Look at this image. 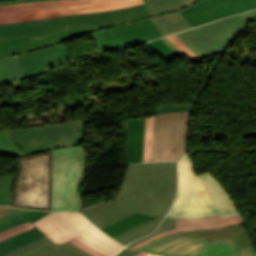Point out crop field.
Segmentation results:
<instances>
[{"label":"crop field","instance_id":"4","mask_svg":"<svg viewBox=\"0 0 256 256\" xmlns=\"http://www.w3.org/2000/svg\"><path fill=\"white\" fill-rule=\"evenodd\" d=\"M137 250L168 256H256L253 247L239 251L225 226L175 232Z\"/></svg>","mask_w":256,"mask_h":256},{"label":"crop field","instance_id":"6","mask_svg":"<svg viewBox=\"0 0 256 256\" xmlns=\"http://www.w3.org/2000/svg\"><path fill=\"white\" fill-rule=\"evenodd\" d=\"M11 206L51 210V151L19 158Z\"/></svg>","mask_w":256,"mask_h":256},{"label":"crop field","instance_id":"7","mask_svg":"<svg viewBox=\"0 0 256 256\" xmlns=\"http://www.w3.org/2000/svg\"><path fill=\"white\" fill-rule=\"evenodd\" d=\"M87 156L78 146L52 151V211H78Z\"/></svg>","mask_w":256,"mask_h":256},{"label":"crop field","instance_id":"25","mask_svg":"<svg viewBox=\"0 0 256 256\" xmlns=\"http://www.w3.org/2000/svg\"><path fill=\"white\" fill-rule=\"evenodd\" d=\"M47 213H49V212L33 210V211L26 212L24 214L18 215L16 217L10 219V221L15 226L20 223L27 222V221H30L32 223V222L38 220L39 218H41L42 216L46 215Z\"/></svg>","mask_w":256,"mask_h":256},{"label":"crop field","instance_id":"5","mask_svg":"<svg viewBox=\"0 0 256 256\" xmlns=\"http://www.w3.org/2000/svg\"><path fill=\"white\" fill-rule=\"evenodd\" d=\"M87 138L85 119L48 126L0 131V156L31 154L78 145Z\"/></svg>","mask_w":256,"mask_h":256},{"label":"crop field","instance_id":"24","mask_svg":"<svg viewBox=\"0 0 256 256\" xmlns=\"http://www.w3.org/2000/svg\"><path fill=\"white\" fill-rule=\"evenodd\" d=\"M166 38L175 45L185 57H187L194 64L201 59L189 48L187 47L175 34L166 36Z\"/></svg>","mask_w":256,"mask_h":256},{"label":"crop field","instance_id":"30","mask_svg":"<svg viewBox=\"0 0 256 256\" xmlns=\"http://www.w3.org/2000/svg\"><path fill=\"white\" fill-rule=\"evenodd\" d=\"M26 211H29V210H26V209H18L16 210L15 212L3 217L0 219V231H4L5 229L7 228H10V227H14V225L8 220L9 218L15 216V215H18V214H21V213H24Z\"/></svg>","mask_w":256,"mask_h":256},{"label":"crop field","instance_id":"13","mask_svg":"<svg viewBox=\"0 0 256 256\" xmlns=\"http://www.w3.org/2000/svg\"><path fill=\"white\" fill-rule=\"evenodd\" d=\"M242 222H245V221L242 218L241 214L236 216L224 217V218H220L219 215L214 217H207V218H177V229L166 231L161 234L155 235L131 247V249H134L155 238H158L163 235H166L175 231H179V230L200 229V228H207V227H214V226H221V225L237 224Z\"/></svg>","mask_w":256,"mask_h":256},{"label":"crop field","instance_id":"14","mask_svg":"<svg viewBox=\"0 0 256 256\" xmlns=\"http://www.w3.org/2000/svg\"><path fill=\"white\" fill-rule=\"evenodd\" d=\"M145 118L128 121L126 162H142Z\"/></svg>","mask_w":256,"mask_h":256},{"label":"crop field","instance_id":"11","mask_svg":"<svg viewBox=\"0 0 256 256\" xmlns=\"http://www.w3.org/2000/svg\"><path fill=\"white\" fill-rule=\"evenodd\" d=\"M190 112L155 115L151 161L178 160L185 154Z\"/></svg>","mask_w":256,"mask_h":256},{"label":"crop field","instance_id":"31","mask_svg":"<svg viewBox=\"0 0 256 256\" xmlns=\"http://www.w3.org/2000/svg\"><path fill=\"white\" fill-rule=\"evenodd\" d=\"M70 242L75 244L76 246H78L79 248L83 249L84 251H86L87 253H89L93 256H106V255L92 249L91 247L87 246L86 244L80 242L79 240H77L75 238L70 240Z\"/></svg>","mask_w":256,"mask_h":256},{"label":"crop field","instance_id":"23","mask_svg":"<svg viewBox=\"0 0 256 256\" xmlns=\"http://www.w3.org/2000/svg\"><path fill=\"white\" fill-rule=\"evenodd\" d=\"M154 116L146 117L143 162L150 161Z\"/></svg>","mask_w":256,"mask_h":256},{"label":"crop field","instance_id":"35","mask_svg":"<svg viewBox=\"0 0 256 256\" xmlns=\"http://www.w3.org/2000/svg\"><path fill=\"white\" fill-rule=\"evenodd\" d=\"M16 209L17 208L7 207L4 210L0 211V217L6 215V214H8V213H10V212H12V211H14Z\"/></svg>","mask_w":256,"mask_h":256},{"label":"crop field","instance_id":"20","mask_svg":"<svg viewBox=\"0 0 256 256\" xmlns=\"http://www.w3.org/2000/svg\"><path fill=\"white\" fill-rule=\"evenodd\" d=\"M53 244L51 240H49L46 236L26 245L23 246L9 254H6L4 256H26L31 255L49 245Z\"/></svg>","mask_w":256,"mask_h":256},{"label":"crop field","instance_id":"28","mask_svg":"<svg viewBox=\"0 0 256 256\" xmlns=\"http://www.w3.org/2000/svg\"><path fill=\"white\" fill-rule=\"evenodd\" d=\"M192 104L157 105V114L173 111H191Z\"/></svg>","mask_w":256,"mask_h":256},{"label":"crop field","instance_id":"15","mask_svg":"<svg viewBox=\"0 0 256 256\" xmlns=\"http://www.w3.org/2000/svg\"><path fill=\"white\" fill-rule=\"evenodd\" d=\"M150 19L163 36L190 29L178 11Z\"/></svg>","mask_w":256,"mask_h":256},{"label":"crop field","instance_id":"26","mask_svg":"<svg viewBox=\"0 0 256 256\" xmlns=\"http://www.w3.org/2000/svg\"><path fill=\"white\" fill-rule=\"evenodd\" d=\"M174 228H176V218L166 217L155 233L131 243L129 246H127V248H129V247H131V246H133V245H135V244H137V243H139V242H141V241H143V240H145V239H147V238H149V237H151L155 234L161 233V232L166 231V230L174 229Z\"/></svg>","mask_w":256,"mask_h":256},{"label":"crop field","instance_id":"34","mask_svg":"<svg viewBox=\"0 0 256 256\" xmlns=\"http://www.w3.org/2000/svg\"><path fill=\"white\" fill-rule=\"evenodd\" d=\"M161 40L170 47L179 57L183 56V54L175 47L173 46L165 37L161 38Z\"/></svg>","mask_w":256,"mask_h":256},{"label":"crop field","instance_id":"8","mask_svg":"<svg viewBox=\"0 0 256 256\" xmlns=\"http://www.w3.org/2000/svg\"><path fill=\"white\" fill-rule=\"evenodd\" d=\"M144 3L143 0H59L0 6V24L70 14L106 11Z\"/></svg>","mask_w":256,"mask_h":256},{"label":"crop field","instance_id":"3","mask_svg":"<svg viewBox=\"0 0 256 256\" xmlns=\"http://www.w3.org/2000/svg\"><path fill=\"white\" fill-rule=\"evenodd\" d=\"M215 214L223 217L239 212L228 193L209 171L197 176L187 155L180 162L178 193L168 215L200 217Z\"/></svg>","mask_w":256,"mask_h":256},{"label":"crop field","instance_id":"2","mask_svg":"<svg viewBox=\"0 0 256 256\" xmlns=\"http://www.w3.org/2000/svg\"><path fill=\"white\" fill-rule=\"evenodd\" d=\"M176 162L129 164L116 199L81 208L100 229L134 213L159 217L114 239L125 246L156 229L169 209L176 188Z\"/></svg>","mask_w":256,"mask_h":256},{"label":"crop field","instance_id":"9","mask_svg":"<svg viewBox=\"0 0 256 256\" xmlns=\"http://www.w3.org/2000/svg\"><path fill=\"white\" fill-rule=\"evenodd\" d=\"M33 225L55 244L75 237L108 256H113L122 248L79 213L51 212Z\"/></svg>","mask_w":256,"mask_h":256},{"label":"crop field","instance_id":"16","mask_svg":"<svg viewBox=\"0 0 256 256\" xmlns=\"http://www.w3.org/2000/svg\"><path fill=\"white\" fill-rule=\"evenodd\" d=\"M157 217L145 215V214H139V213H134L104 229L106 234H108L111 237H115L139 224H142L144 222L150 221L152 219H155Z\"/></svg>","mask_w":256,"mask_h":256},{"label":"crop field","instance_id":"1","mask_svg":"<svg viewBox=\"0 0 256 256\" xmlns=\"http://www.w3.org/2000/svg\"><path fill=\"white\" fill-rule=\"evenodd\" d=\"M171 11L149 14L142 4L0 25V59L6 58L18 80L70 59L63 42L78 36L91 33L99 50H126L162 37L149 18Z\"/></svg>","mask_w":256,"mask_h":256},{"label":"crop field","instance_id":"29","mask_svg":"<svg viewBox=\"0 0 256 256\" xmlns=\"http://www.w3.org/2000/svg\"><path fill=\"white\" fill-rule=\"evenodd\" d=\"M0 78L3 83L15 80L5 59L0 60Z\"/></svg>","mask_w":256,"mask_h":256},{"label":"crop field","instance_id":"36","mask_svg":"<svg viewBox=\"0 0 256 256\" xmlns=\"http://www.w3.org/2000/svg\"><path fill=\"white\" fill-rule=\"evenodd\" d=\"M145 254H147V253L141 252V253H139L137 256H144Z\"/></svg>","mask_w":256,"mask_h":256},{"label":"crop field","instance_id":"19","mask_svg":"<svg viewBox=\"0 0 256 256\" xmlns=\"http://www.w3.org/2000/svg\"><path fill=\"white\" fill-rule=\"evenodd\" d=\"M196 0H145L150 12H159L176 8L181 10L191 6Z\"/></svg>","mask_w":256,"mask_h":256},{"label":"crop field","instance_id":"10","mask_svg":"<svg viewBox=\"0 0 256 256\" xmlns=\"http://www.w3.org/2000/svg\"><path fill=\"white\" fill-rule=\"evenodd\" d=\"M256 10L227 17L176 35L201 59L221 53L252 20Z\"/></svg>","mask_w":256,"mask_h":256},{"label":"crop field","instance_id":"22","mask_svg":"<svg viewBox=\"0 0 256 256\" xmlns=\"http://www.w3.org/2000/svg\"><path fill=\"white\" fill-rule=\"evenodd\" d=\"M147 45L166 62L178 58L160 39L147 43Z\"/></svg>","mask_w":256,"mask_h":256},{"label":"crop field","instance_id":"27","mask_svg":"<svg viewBox=\"0 0 256 256\" xmlns=\"http://www.w3.org/2000/svg\"><path fill=\"white\" fill-rule=\"evenodd\" d=\"M32 228H35V226H33L30 222H27V223L18 225L14 228L7 229L4 232L0 233V241L3 240V239L8 238L10 236H13V235H16L18 233L24 232L26 230L32 229Z\"/></svg>","mask_w":256,"mask_h":256},{"label":"crop field","instance_id":"12","mask_svg":"<svg viewBox=\"0 0 256 256\" xmlns=\"http://www.w3.org/2000/svg\"><path fill=\"white\" fill-rule=\"evenodd\" d=\"M256 8V0H207L179 11L192 26Z\"/></svg>","mask_w":256,"mask_h":256},{"label":"crop field","instance_id":"37","mask_svg":"<svg viewBox=\"0 0 256 256\" xmlns=\"http://www.w3.org/2000/svg\"><path fill=\"white\" fill-rule=\"evenodd\" d=\"M146 256H158V255L148 253Z\"/></svg>","mask_w":256,"mask_h":256},{"label":"crop field","instance_id":"21","mask_svg":"<svg viewBox=\"0 0 256 256\" xmlns=\"http://www.w3.org/2000/svg\"><path fill=\"white\" fill-rule=\"evenodd\" d=\"M15 176H0V204L10 206Z\"/></svg>","mask_w":256,"mask_h":256},{"label":"crop field","instance_id":"17","mask_svg":"<svg viewBox=\"0 0 256 256\" xmlns=\"http://www.w3.org/2000/svg\"><path fill=\"white\" fill-rule=\"evenodd\" d=\"M44 234L37 228L18 234L0 242V256L26 245Z\"/></svg>","mask_w":256,"mask_h":256},{"label":"crop field","instance_id":"38","mask_svg":"<svg viewBox=\"0 0 256 256\" xmlns=\"http://www.w3.org/2000/svg\"><path fill=\"white\" fill-rule=\"evenodd\" d=\"M4 208H5V207H1V206H0V210H2V209H4Z\"/></svg>","mask_w":256,"mask_h":256},{"label":"crop field","instance_id":"18","mask_svg":"<svg viewBox=\"0 0 256 256\" xmlns=\"http://www.w3.org/2000/svg\"><path fill=\"white\" fill-rule=\"evenodd\" d=\"M31 256H91L67 241L64 244L51 245Z\"/></svg>","mask_w":256,"mask_h":256},{"label":"crop field","instance_id":"33","mask_svg":"<svg viewBox=\"0 0 256 256\" xmlns=\"http://www.w3.org/2000/svg\"><path fill=\"white\" fill-rule=\"evenodd\" d=\"M36 1H47V0H9V1H1L0 5L9 4V3H28V2H36Z\"/></svg>","mask_w":256,"mask_h":256},{"label":"crop field","instance_id":"32","mask_svg":"<svg viewBox=\"0 0 256 256\" xmlns=\"http://www.w3.org/2000/svg\"><path fill=\"white\" fill-rule=\"evenodd\" d=\"M140 251L137 250H129V249H124L122 250L119 254L116 256H135L139 253Z\"/></svg>","mask_w":256,"mask_h":256},{"label":"crop field","instance_id":"39","mask_svg":"<svg viewBox=\"0 0 256 256\" xmlns=\"http://www.w3.org/2000/svg\"><path fill=\"white\" fill-rule=\"evenodd\" d=\"M0 84H2V81L0 80Z\"/></svg>","mask_w":256,"mask_h":256}]
</instances>
